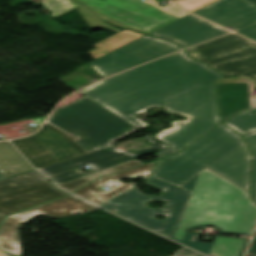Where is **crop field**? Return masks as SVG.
I'll return each instance as SVG.
<instances>
[{"label": "crop field", "mask_w": 256, "mask_h": 256, "mask_svg": "<svg viewBox=\"0 0 256 256\" xmlns=\"http://www.w3.org/2000/svg\"><path fill=\"white\" fill-rule=\"evenodd\" d=\"M222 77L202 64L95 102L139 128L147 124L137 114L165 107L188 119L172 121V128L164 132L198 138L219 123L213 80Z\"/></svg>", "instance_id": "obj_1"}, {"label": "crop field", "mask_w": 256, "mask_h": 256, "mask_svg": "<svg viewBox=\"0 0 256 256\" xmlns=\"http://www.w3.org/2000/svg\"><path fill=\"white\" fill-rule=\"evenodd\" d=\"M181 188L191 192L172 240L207 256H241L248 239L215 236L212 244L198 243L201 235L184 233L211 225L220 233L250 235L256 222V205L249 194L205 168Z\"/></svg>", "instance_id": "obj_2"}, {"label": "crop field", "mask_w": 256, "mask_h": 256, "mask_svg": "<svg viewBox=\"0 0 256 256\" xmlns=\"http://www.w3.org/2000/svg\"><path fill=\"white\" fill-rule=\"evenodd\" d=\"M251 153L244 146L199 139L156 162L153 178L181 187L205 167L249 192Z\"/></svg>", "instance_id": "obj_3"}, {"label": "crop field", "mask_w": 256, "mask_h": 256, "mask_svg": "<svg viewBox=\"0 0 256 256\" xmlns=\"http://www.w3.org/2000/svg\"><path fill=\"white\" fill-rule=\"evenodd\" d=\"M48 121L77 136L75 141L87 153L111 147L139 129L86 97L58 108Z\"/></svg>", "instance_id": "obj_4"}, {"label": "crop field", "mask_w": 256, "mask_h": 256, "mask_svg": "<svg viewBox=\"0 0 256 256\" xmlns=\"http://www.w3.org/2000/svg\"><path fill=\"white\" fill-rule=\"evenodd\" d=\"M146 183L164 192L163 195L161 197L146 196L133 187L99 206L115 210V214L170 238L189 192L153 178L147 179ZM152 200L166 201V203L163 209H151L146 206V203ZM156 214L167 217L164 222H161L154 218Z\"/></svg>", "instance_id": "obj_5"}, {"label": "crop field", "mask_w": 256, "mask_h": 256, "mask_svg": "<svg viewBox=\"0 0 256 256\" xmlns=\"http://www.w3.org/2000/svg\"><path fill=\"white\" fill-rule=\"evenodd\" d=\"M199 64L202 63L192 60L187 56L185 50H183L112 76L94 86L82 90L80 94L95 101Z\"/></svg>", "instance_id": "obj_6"}, {"label": "crop field", "mask_w": 256, "mask_h": 256, "mask_svg": "<svg viewBox=\"0 0 256 256\" xmlns=\"http://www.w3.org/2000/svg\"><path fill=\"white\" fill-rule=\"evenodd\" d=\"M68 195L39 175L29 172L0 181V221L4 216Z\"/></svg>", "instance_id": "obj_7"}, {"label": "crop field", "mask_w": 256, "mask_h": 256, "mask_svg": "<svg viewBox=\"0 0 256 256\" xmlns=\"http://www.w3.org/2000/svg\"><path fill=\"white\" fill-rule=\"evenodd\" d=\"M12 143L35 168L86 154L64 132L49 124H44L32 137L12 141Z\"/></svg>", "instance_id": "obj_8"}, {"label": "crop field", "mask_w": 256, "mask_h": 256, "mask_svg": "<svg viewBox=\"0 0 256 256\" xmlns=\"http://www.w3.org/2000/svg\"><path fill=\"white\" fill-rule=\"evenodd\" d=\"M95 209L99 208L69 195L31 210L9 216L0 225V249L21 256L19 230L37 214H43L51 219H59Z\"/></svg>", "instance_id": "obj_9"}, {"label": "crop field", "mask_w": 256, "mask_h": 256, "mask_svg": "<svg viewBox=\"0 0 256 256\" xmlns=\"http://www.w3.org/2000/svg\"><path fill=\"white\" fill-rule=\"evenodd\" d=\"M144 138L150 141L149 144L151 145L152 148L134 152V153H127L118 148L111 147L104 150L89 153L83 156H79L64 162L45 166V167L39 168L38 170H40L45 175L49 176V175L56 174V173L69 170L78 166H82L85 164L95 169L93 171L86 172V173L76 171V170H71L59 175L49 177V179H51L54 183L59 185L64 182L73 180L75 178L87 175L89 173L113 166L115 164L130 160L136 157L150 154L168 147L167 145L155 140L152 136H145Z\"/></svg>", "instance_id": "obj_10"}, {"label": "crop field", "mask_w": 256, "mask_h": 256, "mask_svg": "<svg viewBox=\"0 0 256 256\" xmlns=\"http://www.w3.org/2000/svg\"><path fill=\"white\" fill-rule=\"evenodd\" d=\"M89 8L131 28L151 32L178 18L138 0H83Z\"/></svg>", "instance_id": "obj_11"}, {"label": "crop field", "mask_w": 256, "mask_h": 256, "mask_svg": "<svg viewBox=\"0 0 256 256\" xmlns=\"http://www.w3.org/2000/svg\"><path fill=\"white\" fill-rule=\"evenodd\" d=\"M174 51L173 47L141 37L89 64L105 77Z\"/></svg>", "instance_id": "obj_12"}, {"label": "crop field", "mask_w": 256, "mask_h": 256, "mask_svg": "<svg viewBox=\"0 0 256 256\" xmlns=\"http://www.w3.org/2000/svg\"><path fill=\"white\" fill-rule=\"evenodd\" d=\"M225 33L228 31L189 14L149 35L175 41L186 48Z\"/></svg>", "instance_id": "obj_13"}, {"label": "crop field", "mask_w": 256, "mask_h": 256, "mask_svg": "<svg viewBox=\"0 0 256 256\" xmlns=\"http://www.w3.org/2000/svg\"><path fill=\"white\" fill-rule=\"evenodd\" d=\"M216 86L222 121L256 107V85L240 76L218 80Z\"/></svg>", "instance_id": "obj_14"}, {"label": "crop field", "mask_w": 256, "mask_h": 256, "mask_svg": "<svg viewBox=\"0 0 256 256\" xmlns=\"http://www.w3.org/2000/svg\"><path fill=\"white\" fill-rule=\"evenodd\" d=\"M193 13L236 30L256 24V7L243 0H217Z\"/></svg>", "instance_id": "obj_15"}, {"label": "crop field", "mask_w": 256, "mask_h": 256, "mask_svg": "<svg viewBox=\"0 0 256 256\" xmlns=\"http://www.w3.org/2000/svg\"><path fill=\"white\" fill-rule=\"evenodd\" d=\"M153 162H150V163L142 165L140 167L131 169L129 171L123 172L118 175L104 176L73 194L85 199V198L101 191V189L99 188L101 186L107 185V186L113 188L112 190H110L108 192H101L87 200L91 203L98 205V204L114 197L115 195L133 187L134 183L125 184V183L118 182L123 177H131L132 179H134V178H137V176H142L145 179L149 178L150 174H151Z\"/></svg>", "instance_id": "obj_16"}, {"label": "crop field", "mask_w": 256, "mask_h": 256, "mask_svg": "<svg viewBox=\"0 0 256 256\" xmlns=\"http://www.w3.org/2000/svg\"><path fill=\"white\" fill-rule=\"evenodd\" d=\"M254 46H256V44L235 34H230L189 48L188 50L196 52L201 58L211 61Z\"/></svg>", "instance_id": "obj_17"}, {"label": "crop field", "mask_w": 256, "mask_h": 256, "mask_svg": "<svg viewBox=\"0 0 256 256\" xmlns=\"http://www.w3.org/2000/svg\"><path fill=\"white\" fill-rule=\"evenodd\" d=\"M211 62L256 83V47Z\"/></svg>", "instance_id": "obj_18"}, {"label": "crop field", "mask_w": 256, "mask_h": 256, "mask_svg": "<svg viewBox=\"0 0 256 256\" xmlns=\"http://www.w3.org/2000/svg\"><path fill=\"white\" fill-rule=\"evenodd\" d=\"M32 170L9 142H0V173L6 178Z\"/></svg>", "instance_id": "obj_19"}, {"label": "crop field", "mask_w": 256, "mask_h": 256, "mask_svg": "<svg viewBox=\"0 0 256 256\" xmlns=\"http://www.w3.org/2000/svg\"><path fill=\"white\" fill-rule=\"evenodd\" d=\"M142 164L141 162L133 159L118 165H115L113 167L89 174L87 176L78 178L76 180L64 183L62 185H59L62 189L72 193L74 191H76L77 189L81 188L82 186L88 184L89 182L93 181L94 179H96L97 177L101 176V175H105V174H111V173H117L120 172L122 170L134 167L136 165Z\"/></svg>", "instance_id": "obj_20"}, {"label": "crop field", "mask_w": 256, "mask_h": 256, "mask_svg": "<svg viewBox=\"0 0 256 256\" xmlns=\"http://www.w3.org/2000/svg\"><path fill=\"white\" fill-rule=\"evenodd\" d=\"M139 38V36L123 33L121 35H113L97 44H95V48L92 51H89V53L92 55L94 59L109 53L135 39Z\"/></svg>", "instance_id": "obj_21"}, {"label": "crop field", "mask_w": 256, "mask_h": 256, "mask_svg": "<svg viewBox=\"0 0 256 256\" xmlns=\"http://www.w3.org/2000/svg\"><path fill=\"white\" fill-rule=\"evenodd\" d=\"M223 123L240 132L242 135L256 131V108L230 118Z\"/></svg>", "instance_id": "obj_22"}, {"label": "crop field", "mask_w": 256, "mask_h": 256, "mask_svg": "<svg viewBox=\"0 0 256 256\" xmlns=\"http://www.w3.org/2000/svg\"><path fill=\"white\" fill-rule=\"evenodd\" d=\"M155 138H157L171 146L169 148H166V149L160 151L157 158L178 152L185 145H187L190 142H192L193 140H195V138L179 136V135H174V134H169V133H164V132H160Z\"/></svg>", "instance_id": "obj_23"}, {"label": "crop field", "mask_w": 256, "mask_h": 256, "mask_svg": "<svg viewBox=\"0 0 256 256\" xmlns=\"http://www.w3.org/2000/svg\"><path fill=\"white\" fill-rule=\"evenodd\" d=\"M223 125V124H222ZM221 124L217 126L215 129L207 133L202 139L244 145V142L240 135L234 133L233 131L227 129L226 127L222 126Z\"/></svg>", "instance_id": "obj_24"}, {"label": "crop field", "mask_w": 256, "mask_h": 256, "mask_svg": "<svg viewBox=\"0 0 256 256\" xmlns=\"http://www.w3.org/2000/svg\"><path fill=\"white\" fill-rule=\"evenodd\" d=\"M79 1H81V0H79ZM103 1H104V0H103ZM81 2H83V1H81ZM83 3H85V2H83ZM145 3H147V4H149V5H152V6L156 7V8H158V9H161V10H163V11H165V12H168V13H170V14H172V15L178 17V18H180V17H182V16L188 14V13H185V12H182V11L178 10L176 7H174V6H172V5L165 6V7H161V6L158 5V3L156 2V0H147V1H145ZM85 4H86L85 6L88 8V4H87V3H85ZM88 9H89V8H88ZM89 10H91V9H89ZM91 11H93V10H91ZM93 12L96 13L99 17H101L104 21H106V22H108V23H110V24H113V25L118 26V27H120V28H129V27H127V26H125V25H123V24H121V23H118V22H116V21H114V20H112V19H110V18H108V17H106V16H103V15H101V14L95 12V11H93ZM168 13H167V14H168ZM96 14H95V15H96ZM101 18H100V19H101ZM130 29H131V28H130ZM133 30H136V31L145 33L144 31H142V30H140V29H133ZM146 34H147V33H146Z\"/></svg>", "instance_id": "obj_25"}, {"label": "crop field", "mask_w": 256, "mask_h": 256, "mask_svg": "<svg viewBox=\"0 0 256 256\" xmlns=\"http://www.w3.org/2000/svg\"><path fill=\"white\" fill-rule=\"evenodd\" d=\"M79 13L82 15V17L85 19V21L87 22V24L90 26V28H98V27H104L106 29L118 32L119 29H116L110 25H107L105 23H103L101 20H99L97 17H95L93 14H91L87 9H85L83 6L80 8H77ZM76 9V10H77ZM123 32H127V33H131V34H135V35H139V36H143L139 33L136 32H132L129 30H125ZM122 33V32H121ZM118 34H120L118 32Z\"/></svg>", "instance_id": "obj_26"}, {"label": "crop field", "mask_w": 256, "mask_h": 256, "mask_svg": "<svg viewBox=\"0 0 256 256\" xmlns=\"http://www.w3.org/2000/svg\"><path fill=\"white\" fill-rule=\"evenodd\" d=\"M40 5L47 8L52 13L51 15H49L52 18L60 14L66 13L74 8H77L63 0H48Z\"/></svg>", "instance_id": "obj_27"}, {"label": "crop field", "mask_w": 256, "mask_h": 256, "mask_svg": "<svg viewBox=\"0 0 256 256\" xmlns=\"http://www.w3.org/2000/svg\"><path fill=\"white\" fill-rule=\"evenodd\" d=\"M252 153L253 167H252V180H251V198L256 202V132L244 135Z\"/></svg>", "instance_id": "obj_28"}, {"label": "crop field", "mask_w": 256, "mask_h": 256, "mask_svg": "<svg viewBox=\"0 0 256 256\" xmlns=\"http://www.w3.org/2000/svg\"><path fill=\"white\" fill-rule=\"evenodd\" d=\"M215 0H173L174 4L187 11H194Z\"/></svg>", "instance_id": "obj_29"}, {"label": "crop field", "mask_w": 256, "mask_h": 256, "mask_svg": "<svg viewBox=\"0 0 256 256\" xmlns=\"http://www.w3.org/2000/svg\"><path fill=\"white\" fill-rule=\"evenodd\" d=\"M237 33L242 34V35L256 41V25L239 30Z\"/></svg>", "instance_id": "obj_30"}, {"label": "crop field", "mask_w": 256, "mask_h": 256, "mask_svg": "<svg viewBox=\"0 0 256 256\" xmlns=\"http://www.w3.org/2000/svg\"><path fill=\"white\" fill-rule=\"evenodd\" d=\"M173 256H202V255L195 253V252L184 247V248L176 251Z\"/></svg>", "instance_id": "obj_31"}, {"label": "crop field", "mask_w": 256, "mask_h": 256, "mask_svg": "<svg viewBox=\"0 0 256 256\" xmlns=\"http://www.w3.org/2000/svg\"><path fill=\"white\" fill-rule=\"evenodd\" d=\"M207 64L210 65V66L213 67L215 70H217L218 72H220L221 74H223V75H225V76L231 75V74H235V73H233V72H231V71H229V70H226V69H224V68H222V67H220V66H217V65H215V64H213V63H211V62H207Z\"/></svg>", "instance_id": "obj_32"}, {"label": "crop field", "mask_w": 256, "mask_h": 256, "mask_svg": "<svg viewBox=\"0 0 256 256\" xmlns=\"http://www.w3.org/2000/svg\"><path fill=\"white\" fill-rule=\"evenodd\" d=\"M247 256H256V235H255V237L253 239V242L251 244V247H250V249L248 251Z\"/></svg>", "instance_id": "obj_33"}, {"label": "crop field", "mask_w": 256, "mask_h": 256, "mask_svg": "<svg viewBox=\"0 0 256 256\" xmlns=\"http://www.w3.org/2000/svg\"><path fill=\"white\" fill-rule=\"evenodd\" d=\"M154 39H155V40H158V41H160V42H163V43H165V44H167V45L173 46V47L177 48L178 50L182 49V47H180V46L177 45V44H173V43H170V42H167V41H164V40H160V39H157V38H154Z\"/></svg>", "instance_id": "obj_34"}, {"label": "crop field", "mask_w": 256, "mask_h": 256, "mask_svg": "<svg viewBox=\"0 0 256 256\" xmlns=\"http://www.w3.org/2000/svg\"><path fill=\"white\" fill-rule=\"evenodd\" d=\"M188 51V50H187ZM189 53H190V55L193 57V58H195V59H197V60H200V61H203V62H207L206 60H203V59H201V58H199V56L197 55V54H195V53H193V52H190V51H188Z\"/></svg>", "instance_id": "obj_35"}, {"label": "crop field", "mask_w": 256, "mask_h": 256, "mask_svg": "<svg viewBox=\"0 0 256 256\" xmlns=\"http://www.w3.org/2000/svg\"><path fill=\"white\" fill-rule=\"evenodd\" d=\"M44 118H45V117H44ZM44 118L33 119V121H35V124L40 125L41 122L44 120Z\"/></svg>", "instance_id": "obj_36"}, {"label": "crop field", "mask_w": 256, "mask_h": 256, "mask_svg": "<svg viewBox=\"0 0 256 256\" xmlns=\"http://www.w3.org/2000/svg\"><path fill=\"white\" fill-rule=\"evenodd\" d=\"M0 256H14V255L5 253V252H3V251H0Z\"/></svg>", "instance_id": "obj_37"}, {"label": "crop field", "mask_w": 256, "mask_h": 256, "mask_svg": "<svg viewBox=\"0 0 256 256\" xmlns=\"http://www.w3.org/2000/svg\"><path fill=\"white\" fill-rule=\"evenodd\" d=\"M66 1H68V2H70V3H72V4H74V5H76V6H81L80 4H77V3H75L74 1H72V0H66Z\"/></svg>", "instance_id": "obj_38"}, {"label": "crop field", "mask_w": 256, "mask_h": 256, "mask_svg": "<svg viewBox=\"0 0 256 256\" xmlns=\"http://www.w3.org/2000/svg\"><path fill=\"white\" fill-rule=\"evenodd\" d=\"M248 2H250L251 4L255 5L256 6V2L252 1V0H246Z\"/></svg>", "instance_id": "obj_39"}, {"label": "crop field", "mask_w": 256, "mask_h": 256, "mask_svg": "<svg viewBox=\"0 0 256 256\" xmlns=\"http://www.w3.org/2000/svg\"><path fill=\"white\" fill-rule=\"evenodd\" d=\"M74 1H77V0H74ZM77 2H79V1H77ZM79 3H81V2H79ZM81 4H83V3H81ZM84 5V4H83Z\"/></svg>", "instance_id": "obj_40"}, {"label": "crop field", "mask_w": 256, "mask_h": 256, "mask_svg": "<svg viewBox=\"0 0 256 256\" xmlns=\"http://www.w3.org/2000/svg\"><path fill=\"white\" fill-rule=\"evenodd\" d=\"M0 179H3V177L0 175Z\"/></svg>", "instance_id": "obj_41"}]
</instances>
